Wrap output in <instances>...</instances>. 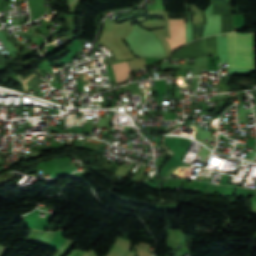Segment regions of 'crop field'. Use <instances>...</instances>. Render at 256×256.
<instances>
[{"label": "crop field", "mask_w": 256, "mask_h": 256, "mask_svg": "<svg viewBox=\"0 0 256 256\" xmlns=\"http://www.w3.org/2000/svg\"><path fill=\"white\" fill-rule=\"evenodd\" d=\"M210 150L204 148V147H201L200 151H199V155L203 156L202 160L203 162H205L204 160L206 159L208 153H209Z\"/></svg>", "instance_id": "obj_5"}, {"label": "crop field", "mask_w": 256, "mask_h": 256, "mask_svg": "<svg viewBox=\"0 0 256 256\" xmlns=\"http://www.w3.org/2000/svg\"><path fill=\"white\" fill-rule=\"evenodd\" d=\"M83 256H96V254L90 249L89 252H85V254Z\"/></svg>", "instance_id": "obj_7"}, {"label": "crop field", "mask_w": 256, "mask_h": 256, "mask_svg": "<svg viewBox=\"0 0 256 256\" xmlns=\"http://www.w3.org/2000/svg\"><path fill=\"white\" fill-rule=\"evenodd\" d=\"M8 248L6 247H0V256H4Z\"/></svg>", "instance_id": "obj_6"}, {"label": "crop field", "mask_w": 256, "mask_h": 256, "mask_svg": "<svg viewBox=\"0 0 256 256\" xmlns=\"http://www.w3.org/2000/svg\"><path fill=\"white\" fill-rule=\"evenodd\" d=\"M171 39L165 38L172 50L185 44V20H169Z\"/></svg>", "instance_id": "obj_2"}, {"label": "crop field", "mask_w": 256, "mask_h": 256, "mask_svg": "<svg viewBox=\"0 0 256 256\" xmlns=\"http://www.w3.org/2000/svg\"><path fill=\"white\" fill-rule=\"evenodd\" d=\"M113 69L117 82L126 80L128 78L130 68L127 61L113 64Z\"/></svg>", "instance_id": "obj_4"}, {"label": "crop field", "mask_w": 256, "mask_h": 256, "mask_svg": "<svg viewBox=\"0 0 256 256\" xmlns=\"http://www.w3.org/2000/svg\"><path fill=\"white\" fill-rule=\"evenodd\" d=\"M135 253L132 251H129V253L126 256H133Z\"/></svg>", "instance_id": "obj_8"}, {"label": "crop field", "mask_w": 256, "mask_h": 256, "mask_svg": "<svg viewBox=\"0 0 256 256\" xmlns=\"http://www.w3.org/2000/svg\"><path fill=\"white\" fill-rule=\"evenodd\" d=\"M131 242L118 237L116 244L107 254V256H124L129 250Z\"/></svg>", "instance_id": "obj_3"}, {"label": "crop field", "mask_w": 256, "mask_h": 256, "mask_svg": "<svg viewBox=\"0 0 256 256\" xmlns=\"http://www.w3.org/2000/svg\"><path fill=\"white\" fill-rule=\"evenodd\" d=\"M228 66L254 68L252 34L229 33Z\"/></svg>", "instance_id": "obj_1"}]
</instances>
